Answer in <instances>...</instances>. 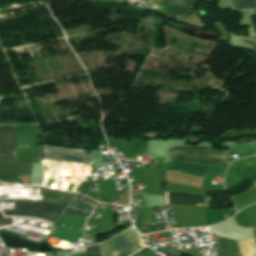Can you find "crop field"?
Listing matches in <instances>:
<instances>
[{"label":"crop field","mask_w":256,"mask_h":256,"mask_svg":"<svg viewBox=\"0 0 256 256\" xmlns=\"http://www.w3.org/2000/svg\"><path fill=\"white\" fill-rule=\"evenodd\" d=\"M171 160H187L194 162H209L227 164V151L215 150L207 147H180L169 151Z\"/></svg>","instance_id":"8a807250"},{"label":"crop field","mask_w":256,"mask_h":256,"mask_svg":"<svg viewBox=\"0 0 256 256\" xmlns=\"http://www.w3.org/2000/svg\"><path fill=\"white\" fill-rule=\"evenodd\" d=\"M68 203H15V210H3L6 216H32L54 223Z\"/></svg>","instance_id":"ac0d7876"},{"label":"crop field","mask_w":256,"mask_h":256,"mask_svg":"<svg viewBox=\"0 0 256 256\" xmlns=\"http://www.w3.org/2000/svg\"><path fill=\"white\" fill-rule=\"evenodd\" d=\"M137 248H139L137 234L134 229H129L101 243L100 256H126Z\"/></svg>","instance_id":"34b2d1b8"},{"label":"crop field","mask_w":256,"mask_h":256,"mask_svg":"<svg viewBox=\"0 0 256 256\" xmlns=\"http://www.w3.org/2000/svg\"><path fill=\"white\" fill-rule=\"evenodd\" d=\"M40 156L45 159L93 164L88 151L40 146Z\"/></svg>","instance_id":"412701ff"},{"label":"crop field","mask_w":256,"mask_h":256,"mask_svg":"<svg viewBox=\"0 0 256 256\" xmlns=\"http://www.w3.org/2000/svg\"><path fill=\"white\" fill-rule=\"evenodd\" d=\"M32 164L29 162H22L17 160H10L6 158H0V169L21 171L31 173ZM0 170V182L9 184H18L19 178H30L31 174Z\"/></svg>","instance_id":"f4fd0767"},{"label":"crop field","mask_w":256,"mask_h":256,"mask_svg":"<svg viewBox=\"0 0 256 256\" xmlns=\"http://www.w3.org/2000/svg\"><path fill=\"white\" fill-rule=\"evenodd\" d=\"M12 152H16L14 126H0V156L16 158Z\"/></svg>","instance_id":"dd49c442"},{"label":"crop field","mask_w":256,"mask_h":256,"mask_svg":"<svg viewBox=\"0 0 256 256\" xmlns=\"http://www.w3.org/2000/svg\"><path fill=\"white\" fill-rule=\"evenodd\" d=\"M205 198L202 196L184 194V193H168V205H201L204 206ZM167 204V193H166Z\"/></svg>","instance_id":"e52e79f7"},{"label":"crop field","mask_w":256,"mask_h":256,"mask_svg":"<svg viewBox=\"0 0 256 256\" xmlns=\"http://www.w3.org/2000/svg\"><path fill=\"white\" fill-rule=\"evenodd\" d=\"M94 207L95 205H92L76 197L65 209V211L83 218H88Z\"/></svg>","instance_id":"d8731c3e"},{"label":"crop field","mask_w":256,"mask_h":256,"mask_svg":"<svg viewBox=\"0 0 256 256\" xmlns=\"http://www.w3.org/2000/svg\"><path fill=\"white\" fill-rule=\"evenodd\" d=\"M191 0H163V3L173 5V6H182L189 7ZM194 7L190 6L189 9L174 7L171 13L167 18H176V17H184L191 13Z\"/></svg>","instance_id":"5a996713"},{"label":"crop field","mask_w":256,"mask_h":256,"mask_svg":"<svg viewBox=\"0 0 256 256\" xmlns=\"http://www.w3.org/2000/svg\"><path fill=\"white\" fill-rule=\"evenodd\" d=\"M233 2L236 9L254 7L252 0H233Z\"/></svg>","instance_id":"3316defc"},{"label":"crop field","mask_w":256,"mask_h":256,"mask_svg":"<svg viewBox=\"0 0 256 256\" xmlns=\"http://www.w3.org/2000/svg\"><path fill=\"white\" fill-rule=\"evenodd\" d=\"M86 256H99L98 244L86 248Z\"/></svg>","instance_id":"28ad6ade"},{"label":"crop field","mask_w":256,"mask_h":256,"mask_svg":"<svg viewBox=\"0 0 256 256\" xmlns=\"http://www.w3.org/2000/svg\"><path fill=\"white\" fill-rule=\"evenodd\" d=\"M132 256H155L154 251L149 248H143L139 252L135 253Z\"/></svg>","instance_id":"d1516ede"},{"label":"crop field","mask_w":256,"mask_h":256,"mask_svg":"<svg viewBox=\"0 0 256 256\" xmlns=\"http://www.w3.org/2000/svg\"><path fill=\"white\" fill-rule=\"evenodd\" d=\"M12 224L11 218H4L3 215L0 212V225H10Z\"/></svg>","instance_id":"22f410ed"},{"label":"crop field","mask_w":256,"mask_h":256,"mask_svg":"<svg viewBox=\"0 0 256 256\" xmlns=\"http://www.w3.org/2000/svg\"><path fill=\"white\" fill-rule=\"evenodd\" d=\"M253 230H254V235H255V238H256V228H253Z\"/></svg>","instance_id":"cbeb9de0"},{"label":"crop field","mask_w":256,"mask_h":256,"mask_svg":"<svg viewBox=\"0 0 256 256\" xmlns=\"http://www.w3.org/2000/svg\"><path fill=\"white\" fill-rule=\"evenodd\" d=\"M254 3H255V5H256V0H254Z\"/></svg>","instance_id":"5142ce71"},{"label":"crop field","mask_w":256,"mask_h":256,"mask_svg":"<svg viewBox=\"0 0 256 256\" xmlns=\"http://www.w3.org/2000/svg\"><path fill=\"white\" fill-rule=\"evenodd\" d=\"M1 99H2V96H0V101H1Z\"/></svg>","instance_id":"d9b57169"},{"label":"crop field","mask_w":256,"mask_h":256,"mask_svg":"<svg viewBox=\"0 0 256 256\" xmlns=\"http://www.w3.org/2000/svg\"><path fill=\"white\" fill-rule=\"evenodd\" d=\"M118 1H122V0H118Z\"/></svg>","instance_id":"733c2abd"}]
</instances>
